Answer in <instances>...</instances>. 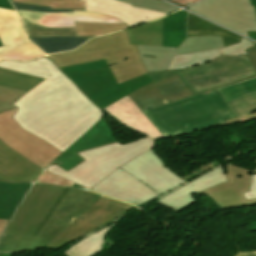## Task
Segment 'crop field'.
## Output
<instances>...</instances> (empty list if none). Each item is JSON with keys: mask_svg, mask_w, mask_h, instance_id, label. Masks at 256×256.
<instances>
[{"mask_svg": "<svg viewBox=\"0 0 256 256\" xmlns=\"http://www.w3.org/2000/svg\"><path fill=\"white\" fill-rule=\"evenodd\" d=\"M119 1L131 3L137 7L160 10L165 13H171V12L178 10V8L173 7L167 3L159 1V0H119Z\"/></svg>", "mask_w": 256, "mask_h": 256, "instance_id": "37", "label": "crop field"}, {"mask_svg": "<svg viewBox=\"0 0 256 256\" xmlns=\"http://www.w3.org/2000/svg\"><path fill=\"white\" fill-rule=\"evenodd\" d=\"M66 75L75 82L87 98L101 109L152 83L146 74L118 85L109 67Z\"/></svg>", "mask_w": 256, "mask_h": 256, "instance_id": "8", "label": "crop field"}, {"mask_svg": "<svg viewBox=\"0 0 256 256\" xmlns=\"http://www.w3.org/2000/svg\"><path fill=\"white\" fill-rule=\"evenodd\" d=\"M226 180V175L222 165L211 172L187 183L186 186H182L170 192L157 202L180 213L195 202L191 194L198 193Z\"/></svg>", "mask_w": 256, "mask_h": 256, "instance_id": "17", "label": "crop field"}, {"mask_svg": "<svg viewBox=\"0 0 256 256\" xmlns=\"http://www.w3.org/2000/svg\"><path fill=\"white\" fill-rule=\"evenodd\" d=\"M186 9L246 36V31H256L255 8L249 0H205Z\"/></svg>", "mask_w": 256, "mask_h": 256, "instance_id": "12", "label": "crop field"}, {"mask_svg": "<svg viewBox=\"0 0 256 256\" xmlns=\"http://www.w3.org/2000/svg\"><path fill=\"white\" fill-rule=\"evenodd\" d=\"M126 31L131 44L162 46V18Z\"/></svg>", "mask_w": 256, "mask_h": 256, "instance_id": "27", "label": "crop field"}, {"mask_svg": "<svg viewBox=\"0 0 256 256\" xmlns=\"http://www.w3.org/2000/svg\"><path fill=\"white\" fill-rule=\"evenodd\" d=\"M183 183L185 181L149 150L119 167L91 189L138 206Z\"/></svg>", "mask_w": 256, "mask_h": 256, "instance_id": "2", "label": "crop field"}, {"mask_svg": "<svg viewBox=\"0 0 256 256\" xmlns=\"http://www.w3.org/2000/svg\"><path fill=\"white\" fill-rule=\"evenodd\" d=\"M30 186L31 184L0 183V219L10 220Z\"/></svg>", "mask_w": 256, "mask_h": 256, "instance_id": "24", "label": "crop field"}, {"mask_svg": "<svg viewBox=\"0 0 256 256\" xmlns=\"http://www.w3.org/2000/svg\"><path fill=\"white\" fill-rule=\"evenodd\" d=\"M253 45L255 43L242 38L240 43L230 45L221 50L223 55H240L239 53L246 54L245 50ZM218 56H221L218 50L173 56L169 69L181 70L195 65L205 64L211 62L212 59Z\"/></svg>", "mask_w": 256, "mask_h": 256, "instance_id": "23", "label": "crop field"}, {"mask_svg": "<svg viewBox=\"0 0 256 256\" xmlns=\"http://www.w3.org/2000/svg\"><path fill=\"white\" fill-rule=\"evenodd\" d=\"M103 110H106L121 125L145 134L153 140L163 137L128 96Z\"/></svg>", "mask_w": 256, "mask_h": 256, "instance_id": "21", "label": "crop field"}, {"mask_svg": "<svg viewBox=\"0 0 256 256\" xmlns=\"http://www.w3.org/2000/svg\"><path fill=\"white\" fill-rule=\"evenodd\" d=\"M256 230V222L251 223V231Z\"/></svg>", "mask_w": 256, "mask_h": 256, "instance_id": "51", "label": "crop field"}, {"mask_svg": "<svg viewBox=\"0 0 256 256\" xmlns=\"http://www.w3.org/2000/svg\"><path fill=\"white\" fill-rule=\"evenodd\" d=\"M256 8V6H255ZM248 33V36L252 39H255L256 40V32H247Z\"/></svg>", "mask_w": 256, "mask_h": 256, "instance_id": "50", "label": "crop field"}, {"mask_svg": "<svg viewBox=\"0 0 256 256\" xmlns=\"http://www.w3.org/2000/svg\"><path fill=\"white\" fill-rule=\"evenodd\" d=\"M224 167L228 181L198 194L204 193L223 209L256 204V199L245 200L243 194L249 191L251 176L256 173V168L248 170L233 163H227Z\"/></svg>", "mask_w": 256, "mask_h": 256, "instance_id": "15", "label": "crop field"}, {"mask_svg": "<svg viewBox=\"0 0 256 256\" xmlns=\"http://www.w3.org/2000/svg\"><path fill=\"white\" fill-rule=\"evenodd\" d=\"M64 189L34 183L5 232L32 236Z\"/></svg>", "mask_w": 256, "mask_h": 256, "instance_id": "9", "label": "crop field"}, {"mask_svg": "<svg viewBox=\"0 0 256 256\" xmlns=\"http://www.w3.org/2000/svg\"><path fill=\"white\" fill-rule=\"evenodd\" d=\"M28 37L43 36H78L75 27L51 28L28 22V18H22Z\"/></svg>", "mask_w": 256, "mask_h": 256, "instance_id": "31", "label": "crop field"}, {"mask_svg": "<svg viewBox=\"0 0 256 256\" xmlns=\"http://www.w3.org/2000/svg\"><path fill=\"white\" fill-rule=\"evenodd\" d=\"M38 183L48 184V185H54V186H60V187H72L74 183L67 181L65 179H62L58 176H55L47 171H43L41 175L38 177V180H36Z\"/></svg>", "mask_w": 256, "mask_h": 256, "instance_id": "38", "label": "crop field"}, {"mask_svg": "<svg viewBox=\"0 0 256 256\" xmlns=\"http://www.w3.org/2000/svg\"><path fill=\"white\" fill-rule=\"evenodd\" d=\"M42 80L0 69V85L28 91Z\"/></svg>", "mask_w": 256, "mask_h": 256, "instance_id": "30", "label": "crop field"}, {"mask_svg": "<svg viewBox=\"0 0 256 256\" xmlns=\"http://www.w3.org/2000/svg\"><path fill=\"white\" fill-rule=\"evenodd\" d=\"M153 147L154 141L148 137L123 145L118 142L77 153L86 161L68 172L53 163L45 170L90 189L119 166Z\"/></svg>", "mask_w": 256, "mask_h": 256, "instance_id": "5", "label": "crop field"}, {"mask_svg": "<svg viewBox=\"0 0 256 256\" xmlns=\"http://www.w3.org/2000/svg\"><path fill=\"white\" fill-rule=\"evenodd\" d=\"M0 8H5V9H9V10H13V7L11 5V3L9 2V0H0Z\"/></svg>", "mask_w": 256, "mask_h": 256, "instance_id": "46", "label": "crop field"}, {"mask_svg": "<svg viewBox=\"0 0 256 256\" xmlns=\"http://www.w3.org/2000/svg\"><path fill=\"white\" fill-rule=\"evenodd\" d=\"M256 118V113H251V114H247L244 116H240V117H235L229 120H226L227 124H231V123H235V122H239V121H245V120H251V119H255Z\"/></svg>", "mask_w": 256, "mask_h": 256, "instance_id": "43", "label": "crop field"}, {"mask_svg": "<svg viewBox=\"0 0 256 256\" xmlns=\"http://www.w3.org/2000/svg\"><path fill=\"white\" fill-rule=\"evenodd\" d=\"M220 164H222V163L221 162H217V161L211 162V163H209V164H207V165H205V166H203L201 168L195 169V170H193V171L183 175L182 178H184L187 181H189L192 178H194V177H196V176H198V175H200V174H202V173H204L206 171H209L212 168H214V167H216V166H218Z\"/></svg>", "mask_w": 256, "mask_h": 256, "instance_id": "41", "label": "crop field"}, {"mask_svg": "<svg viewBox=\"0 0 256 256\" xmlns=\"http://www.w3.org/2000/svg\"><path fill=\"white\" fill-rule=\"evenodd\" d=\"M133 208L135 207L103 196L55 239L47 244L45 248L55 250L65 244L73 242L93 232L98 227L127 213Z\"/></svg>", "mask_w": 256, "mask_h": 256, "instance_id": "10", "label": "crop field"}, {"mask_svg": "<svg viewBox=\"0 0 256 256\" xmlns=\"http://www.w3.org/2000/svg\"><path fill=\"white\" fill-rule=\"evenodd\" d=\"M0 59L30 60L44 56L23 31V24L16 12L0 9Z\"/></svg>", "mask_w": 256, "mask_h": 256, "instance_id": "14", "label": "crop field"}, {"mask_svg": "<svg viewBox=\"0 0 256 256\" xmlns=\"http://www.w3.org/2000/svg\"><path fill=\"white\" fill-rule=\"evenodd\" d=\"M136 46L147 72L167 70L173 55L215 49L220 50V48L224 47L221 37L187 38L177 50L170 47Z\"/></svg>", "mask_w": 256, "mask_h": 256, "instance_id": "16", "label": "crop field"}, {"mask_svg": "<svg viewBox=\"0 0 256 256\" xmlns=\"http://www.w3.org/2000/svg\"><path fill=\"white\" fill-rule=\"evenodd\" d=\"M119 222V221H118ZM116 222V223H118ZM113 223L89 237L77 242L70 249L61 253L64 256H94L103 251V239L107 232L116 224Z\"/></svg>", "mask_w": 256, "mask_h": 256, "instance_id": "28", "label": "crop field"}, {"mask_svg": "<svg viewBox=\"0 0 256 256\" xmlns=\"http://www.w3.org/2000/svg\"><path fill=\"white\" fill-rule=\"evenodd\" d=\"M107 66L108 64L105 62V60H102V61L82 64L77 66L63 67L60 69L63 70L65 73H69V72L84 71V70L96 69V68L107 67Z\"/></svg>", "mask_w": 256, "mask_h": 256, "instance_id": "40", "label": "crop field"}, {"mask_svg": "<svg viewBox=\"0 0 256 256\" xmlns=\"http://www.w3.org/2000/svg\"><path fill=\"white\" fill-rule=\"evenodd\" d=\"M20 17H29L30 22L52 27L75 26L74 21L95 23H122L116 18L90 11H74V13H45L18 11Z\"/></svg>", "mask_w": 256, "mask_h": 256, "instance_id": "22", "label": "crop field"}, {"mask_svg": "<svg viewBox=\"0 0 256 256\" xmlns=\"http://www.w3.org/2000/svg\"><path fill=\"white\" fill-rule=\"evenodd\" d=\"M93 38L86 37H44V38H29L32 42L38 45L46 54L69 51L79 47L85 41Z\"/></svg>", "mask_w": 256, "mask_h": 256, "instance_id": "29", "label": "crop field"}, {"mask_svg": "<svg viewBox=\"0 0 256 256\" xmlns=\"http://www.w3.org/2000/svg\"><path fill=\"white\" fill-rule=\"evenodd\" d=\"M0 46H2L1 43H0Z\"/></svg>", "mask_w": 256, "mask_h": 256, "instance_id": "53", "label": "crop field"}, {"mask_svg": "<svg viewBox=\"0 0 256 256\" xmlns=\"http://www.w3.org/2000/svg\"><path fill=\"white\" fill-rule=\"evenodd\" d=\"M85 9L110 14L124 22L128 27L155 20L167 14L160 11L133 7L115 0H84Z\"/></svg>", "mask_w": 256, "mask_h": 256, "instance_id": "19", "label": "crop field"}, {"mask_svg": "<svg viewBox=\"0 0 256 256\" xmlns=\"http://www.w3.org/2000/svg\"><path fill=\"white\" fill-rule=\"evenodd\" d=\"M254 163H256V161Z\"/></svg>", "mask_w": 256, "mask_h": 256, "instance_id": "54", "label": "crop field"}, {"mask_svg": "<svg viewBox=\"0 0 256 256\" xmlns=\"http://www.w3.org/2000/svg\"><path fill=\"white\" fill-rule=\"evenodd\" d=\"M171 1L181 5L183 7H185V6L189 5V4L197 2L199 0H171ZM186 1H188L189 4H187Z\"/></svg>", "mask_w": 256, "mask_h": 256, "instance_id": "47", "label": "crop field"}, {"mask_svg": "<svg viewBox=\"0 0 256 256\" xmlns=\"http://www.w3.org/2000/svg\"><path fill=\"white\" fill-rule=\"evenodd\" d=\"M181 73L196 94L256 77L247 55L222 56L213 63L182 70Z\"/></svg>", "mask_w": 256, "mask_h": 256, "instance_id": "7", "label": "crop field"}, {"mask_svg": "<svg viewBox=\"0 0 256 256\" xmlns=\"http://www.w3.org/2000/svg\"><path fill=\"white\" fill-rule=\"evenodd\" d=\"M246 52L250 60L252 61L254 67L256 68V45L246 50Z\"/></svg>", "mask_w": 256, "mask_h": 256, "instance_id": "45", "label": "crop field"}, {"mask_svg": "<svg viewBox=\"0 0 256 256\" xmlns=\"http://www.w3.org/2000/svg\"><path fill=\"white\" fill-rule=\"evenodd\" d=\"M12 3L16 10H24V11L73 12V10H80V9L50 10V7L24 4V3H16V2H12Z\"/></svg>", "mask_w": 256, "mask_h": 256, "instance_id": "39", "label": "crop field"}, {"mask_svg": "<svg viewBox=\"0 0 256 256\" xmlns=\"http://www.w3.org/2000/svg\"><path fill=\"white\" fill-rule=\"evenodd\" d=\"M24 93L25 91L0 86V112L15 108L11 104Z\"/></svg>", "mask_w": 256, "mask_h": 256, "instance_id": "36", "label": "crop field"}, {"mask_svg": "<svg viewBox=\"0 0 256 256\" xmlns=\"http://www.w3.org/2000/svg\"><path fill=\"white\" fill-rule=\"evenodd\" d=\"M101 196L84 190L70 189L37 237L3 233L0 239V256H13V253L43 248Z\"/></svg>", "mask_w": 256, "mask_h": 256, "instance_id": "6", "label": "crop field"}, {"mask_svg": "<svg viewBox=\"0 0 256 256\" xmlns=\"http://www.w3.org/2000/svg\"><path fill=\"white\" fill-rule=\"evenodd\" d=\"M69 188H66L62 195L60 196V198L58 199V201L55 203V205L52 207V209L49 211V213L47 214V216L44 218V220L42 221V223L39 225L37 231L35 232L34 236H37V234L39 233V231L41 230V228L43 227V225L45 224V222L47 221V219L49 218V216L51 215V213L53 212V210L56 208V206L59 204V202L62 200V198L65 196V194L68 192ZM33 236V235H32Z\"/></svg>", "mask_w": 256, "mask_h": 256, "instance_id": "42", "label": "crop field"}, {"mask_svg": "<svg viewBox=\"0 0 256 256\" xmlns=\"http://www.w3.org/2000/svg\"><path fill=\"white\" fill-rule=\"evenodd\" d=\"M244 194L247 199L256 198V174H253L250 192Z\"/></svg>", "mask_w": 256, "mask_h": 256, "instance_id": "44", "label": "crop field"}, {"mask_svg": "<svg viewBox=\"0 0 256 256\" xmlns=\"http://www.w3.org/2000/svg\"><path fill=\"white\" fill-rule=\"evenodd\" d=\"M226 30V29H225ZM222 28L208 23L205 20L189 14L188 18V37L193 36H222L224 46L238 43L241 36L225 31Z\"/></svg>", "mask_w": 256, "mask_h": 256, "instance_id": "25", "label": "crop field"}, {"mask_svg": "<svg viewBox=\"0 0 256 256\" xmlns=\"http://www.w3.org/2000/svg\"><path fill=\"white\" fill-rule=\"evenodd\" d=\"M217 91L224 101L254 93L256 92V78L250 79L243 83L217 89Z\"/></svg>", "mask_w": 256, "mask_h": 256, "instance_id": "33", "label": "crop field"}, {"mask_svg": "<svg viewBox=\"0 0 256 256\" xmlns=\"http://www.w3.org/2000/svg\"><path fill=\"white\" fill-rule=\"evenodd\" d=\"M16 111L17 108L0 113V140L41 168H46L61 152L21 130L12 119Z\"/></svg>", "mask_w": 256, "mask_h": 256, "instance_id": "11", "label": "crop field"}, {"mask_svg": "<svg viewBox=\"0 0 256 256\" xmlns=\"http://www.w3.org/2000/svg\"><path fill=\"white\" fill-rule=\"evenodd\" d=\"M13 1L51 6V9H60V8L83 9L85 4V2L79 1V0H13Z\"/></svg>", "mask_w": 256, "mask_h": 256, "instance_id": "35", "label": "crop field"}, {"mask_svg": "<svg viewBox=\"0 0 256 256\" xmlns=\"http://www.w3.org/2000/svg\"><path fill=\"white\" fill-rule=\"evenodd\" d=\"M0 68L45 78L12 105L15 122L64 152L102 118V111L47 57L0 61Z\"/></svg>", "mask_w": 256, "mask_h": 256, "instance_id": "1", "label": "crop field"}, {"mask_svg": "<svg viewBox=\"0 0 256 256\" xmlns=\"http://www.w3.org/2000/svg\"><path fill=\"white\" fill-rule=\"evenodd\" d=\"M144 114L165 137L225 125L235 117L216 90L145 111Z\"/></svg>", "mask_w": 256, "mask_h": 256, "instance_id": "3", "label": "crop field"}, {"mask_svg": "<svg viewBox=\"0 0 256 256\" xmlns=\"http://www.w3.org/2000/svg\"><path fill=\"white\" fill-rule=\"evenodd\" d=\"M8 221H5V220H0V234L1 232L4 230L6 224H7Z\"/></svg>", "mask_w": 256, "mask_h": 256, "instance_id": "49", "label": "crop field"}, {"mask_svg": "<svg viewBox=\"0 0 256 256\" xmlns=\"http://www.w3.org/2000/svg\"><path fill=\"white\" fill-rule=\"evenodd\" d=\"M251 1V5H256V0H250Z\"/></svg>", "mask_w": 256, "mask_h": 256, "instance_id": "52", "label": "crop field"}, {"mask_svg": "<svg viewBox=\"0 0 256 256\" xmlns=\"http://www.w3.org/2000/svg\"><path fill=\"white\" fill-rule=\"evenodd\" d=\"M232 256H256V251L241 252V253H237L236 255H232Z\"/></svg>", "mask_w": 256, "mask_h": 256, "instance_id": "48", "label": "crop field"}, {"mask_svg": "<svg viewBox=\"0 0 256 256\" xmlns=\"http://www.w3.org/2000/svg\"><path fill=\"white\" fill-rule=\"evenodd\" d=\"M148 74L154 83L128 95L141 111L196 95L179 70Z\"/></svg>", "mask_w": 256, "mask_h": 256, "instance_id": "13", "label": "crop field"}, {"mask_svg": "<svg viewBox=\"0 0 256 256\" xmlns=\"http://www.w3.org/2000/svg\"><path fill=\"white\" fill-rule=\"evenodd\" d=\"M186 17L187 12L180 10L163 18V46L178 47L186 38Z\"/></svg>", "mask_w": 256, "mask_h": 256, "instance_id": "26", "label": "crop field"}, {"mask_svg": "<svg viewBox=\"0 0 256 256\" xmlns=\"http://www.w3.org/2000/svg\"><path fill=\"white\" fill-rule=\"evenodd\" d=\"M58 67L105 59L118 83L146 74L135 45L126 31L91 39L77 50L49 56Z\"/></svg>", "mask_w": 256, "mask_h": 256, "instance_id": "4", "label": "crop field"}, {"mask_svg": "<svg viewBox=\"0 0 256 256\" xmlns=\"http://www.w3.org/2000/svg\"><path fill=\"white\" fill-rule=\"evenodd\" d=\"M226 103L236 116L247 114L256 110V93L226 101Z\"/></svg>", "mask_w": 256, "mask_h": 256, "instance_id": "34", "label": "crop field"}, {"mask_svg": "<svg viewBox=\"0 0 256 256\" xmlns=\"http://www.w3.org/2000/svg\"><path fill=\"white\" fill-rule=\"evenodd\" d=\"M118 140L110 130L105 118L96 124L74 145L68 148L59 159L55 162L56 165L65 170H70L81 162L85 161L76 153L90 148L117 142Z\"/></svg>", "mask_w": 256, "mask_h": 256, "instance_id": "18", "label": "crop field"}, {"mask_svg": "<svg viewBox=\"0 0 256 256\" xmlns=\"http://www.w3.org/2000/svg\"><path fill=\"white\" fill-rule=\"evenodd\" d=\"M79 36L108 34L128 28L125 24H94L75 22Z\"/></svg>", "mask_w": 256, "mask_h": 256, "instance_id": "32", "label": "crop field"}, {"mask_svg": "<svg viewBox=\"0 0 256 256\" xmlns=\"http://www.w3.org/2000/svg\"><path fill=\"white\" fill-rule=\"evenodd\" d=\"M42 170L0 141V181L33 182Z\"/></svg>", "mask_w": 256, "mask_h": 256, "instance_id": "20", "label": "crop field"}]
</instances>
